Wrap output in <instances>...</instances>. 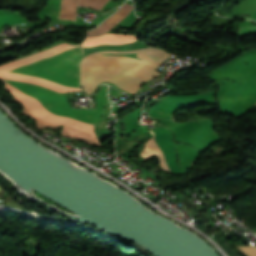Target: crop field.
Instances as JSON below:
<instances>
[{
    "mask_svg": "<svg viewBox=\"0 0 256 256\" xmlns=\"http://www.w3.org/2000/svg\"><path fill=\"white\" fill-rule=\"evenodd\" d=\"M244 256H256V247L236 246Z\"/></svg>",
    "mask_w": 256,
    "mask_h": 256,
    "instance_id": "28ad6ade",
    "label": "crop field"
},
{
    "mask_svg": "<svg viewBox=\"0 0 256 256\" xmlns=\"http://www.w3.org/2000/svg\"><path fill=\"white\" fill-rule=\"evenodd\" d=\"M2 188H0V190H1Z\"/></svg>",
    "mask_w": 256,
    "mask_h": 256,
    "instance_id": "cbeb9de0",
    "label": "crop field"
},
{
    "mask_svg": "<svg viewBox=\"0 0 256 256\" xmlns=\"http://www.w3.org/2000/svg\"><path fill=\"white\" fill-rule=\"evenodd\" d=\"M131 9L132 5H123L116 14L105 20L96 30L89 32L87 36L100 35L110 31Z\"/></svg>",
    "mask_w": 256,
    "mask_h": 256,
    "instance_id": "e52e79f7",
    "label": "crop field"
},
{
    "mask_svg": "<svg viewBox=\"0 0 256 256\" xmlns=\"http://www.w3.org/2000/svg\"><path fill=\"white\" fill-rule=\"evenodd\" d=\"M4 202H5V204L7 205V206H11V207H18V208H21V209H23L15 200H13L11 197H7V198H5V200H4Z\"/></svg>",
    "mask_w": 256,
    "mask_h": 256,
    "instance_id": "d1516ede",
    "label": "crop field"
},
{
    "mask_svg": "<svg viewBox=\"0 0 256 256\" xmlns=\"http://www.w3.org/2000/svg\"><path fill=\"white\" fill-rule=\"evenodd\" d=\"M167 52V51H166ZM160 49L125 52L102 51L86 56L81 62V85L89 95L101 81H111L128 92L160 74L154 70L170 53Z\"/></svg>",
    "mask_w": 256,
    "mask_h": 256,
    "instance_id": "8a807250",
    "label": "crop field"
},
{
    "mask_svg": "<svg viewBox=\"0 0 256 256\" xmlns=\"http://www.w3.org/2000/svg\"><path fill=\"white\" fill-rule=\"evenodd\" d=\"M4 81L17 87L20 91L37 98L42 105L53 114L72 117L92 125H95L100 121V111L104 107L105 93L108 88L107 85H103L100 91L96 94V110L75 109L72 108L68 104L66 98L58 92L28 83L15 82L6 79H4Z\"/></svg>",
    "mask_w": 256,
    "mask_h": 256,
    "instance_id": "34b2d1b8",
    "label": "crop field"
},
{
    "mask_svg": "<svg viewBox=\"0 0 256 256\" xmlns=\"http://www.w3.org/2000/svg\"><path fill=\"white\" fill-rule=\"evenodd\" d=\"M234 34H236L239 37L245 36L248 34H256V26L242 27Z\"/></svg>",
    "mask_w": 256,
    "mask_h": 256,
    "instance_id": "3316defc",
    "label": "crop field"
},
{
    "mask_svg": "<svg viewBox=\"0 0 256 256\" xmlns=\"http://www.w3.org/2000/svg\"><path fill=\"white\" fill-rule=\"evenodd\" d=\"M78 47L80 46H72V45L62 43L46 51L30 55L26 58L13 61L8 64H4L0 66V77L15 79V80H22V81L31 82V83H37L59 92L81 91L79 90L80 89L79 62L82 58L81 48L63 52L58 54L55 57H51L56 55L59 52L78 48ZM47 57H51V58L42 59ZM35 61H38V62H35ZM32 62H35V63H32ZM26 64H30V65H26ZM23 65H26V66H23ZM20 66H23V67L18 68ZM14 68H18V69H14ZM11 69H14L11 72L26 73L34 76H41L45 79L55 81L64 85L72 86L75 88H79V89H75V88L64 86L55 82H51L41 77H34L26 74H17V73L8 72Z\"/></svg>",
    "mask_w": 256,
    "mask_h": 256,
    "instance_id": "ac0d7876",
    "label": "crop field"
},
{
    "mask_svg": "<svg viewBox=\"0 0 256 256\" xmlns=\"http://www.w3.org/2000/svg\"><path fill=\"white\" fill-rule=\"evenodd\" d=\"M107 0H62V12L61 18L75 19L76 16V7L78 5L98 9L106 2Z\"/></svg>",
    "mask_w": 256,
    "mask_h": 256,
    "instance_id": "dd49c442",
    "label": "crop field"
},
{
    "mask_svg": "<svg viewBox=\"0 0 256 256\" xmlns=\"http://www.w3.org/2000/svg\"><path fill=\"white\" fill-rule=\"evenodd\" d=\"M24 22L26 21L15 15L7 14L0 16V26Z\"/></svg>",
    "mask_w": 256,
    "mask_h": 256,
    "instance_id": "5a996713",
    "label": "crop field"
},
{
    "mask_svg": "<svg viewBox=\"0 0 256 256\" xmlns=\"http://www.w3.org/2000/svg\"><path fill=\"white\" fill-rule=\"evenodd\" d=\"M4 193H6L3 189L0 191V196L2 195V194H4Z\"/></svg>",
    "mask_w": 256,
    "mask_h": 256,
    "instance_id": "22f410ed",
    "label": "crop field"
},
{
    "mask_svg": "<svg viewBox=\"0 0 256 256\" xmlns=\"http://www.w3.org/2000/svg\"><path fill=\"white\" fill-rule=\"evenodd\" d=\"M136 41L135 35L105 34L97 37H88L82 47H92L100 44H123Z\"/></svg>",
    "mask_w": 256,
    "mask_h": 256,
    "instance_id": "f4fd0767",
    "label": "crop field"
},
{
    "mask_svg": "<svg viewBox=\"0 0 256 256\" xmlns=\"http://www.w3.org/2000/svg\"><path fill=\"white\" fill-rule=\"evenodd\" d=\"M154 155H156L159 158L162 168L166 171H169V169L165 163V160H164V158L159 150V147L154 139V136H153L150 140H148L145 143V147H144L143 151L141 152L140 156L143 157L144 160H146Z\"/></svg>",
    "mask_w": 256,
    "mask_h": 256,
    "instance_id": "d8731c3e",
    "label": "crop field"
},
{
    "mask_svg": "<svg viewBox=\"0 0 256 256\" xmlns=\"http://www.w3.org/2000/svg\"><path fill=\"white\" fill-rule=\"evenodd\" d=\"M4 84H5V88L9 90L17 98L18 101L22 102L28 108V110L38 118L52 125L64 124L68 127H72L83 132L91 133V136L95 137L92 125L77 121L72 118L53 115L49 111H47L41 105V103L35 98L18 91L16 88L12 87L6 82H4Z\"/></svg>",
    "mask_w": 256,
    "mask_h": 256,
    "instance_id": "412701ff",
    "label": "crop field"
}]
</instances>
